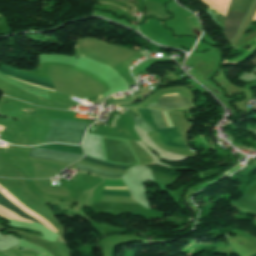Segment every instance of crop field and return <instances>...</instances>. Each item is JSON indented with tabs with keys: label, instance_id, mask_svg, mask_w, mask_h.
<instances>
[{
	"label": "crop field",
	"instance_id": "8a807250",
	"mask_svg": "<svg viewBox=\"0 0 256 256\" xmlns=\"http://www.w3.org/2000/svg\"><path fill=\"white\" fill-rule=\"evenodd\" d=\"M37 147L63 151L68 153H78L83 155L81 147H78V146H68L64 144H51V145L37 146ZM45 149L32 148L29 159L33 161L68 166L72 162L83 157L77 154H68V153L45 150Z\"/></svg>",
	"mask_w": 256,
	"mask_h": 256
},
{
	"label": "crop field",
	"instance_id": "ac0d7876",
	"mask_svg": "<svg viewBox=\"0 0 256 256\" xmlns=\"http://www.w3.org/2000/svg\"><path fill=\"white\" fill-rule=\"evenodd\" d=\"M68 120V119H65ZM50 130L46 135L45 143L62 142L79 144L82 142L83 134L89 125L82 122L48 120Z\"/></svg>",
	"mask_w": 256,
	"mask_h": 256
},
{
	"label": "crop field",
	"instance_id": "34b2d1b8",
	"mask_svg": "<svg viewBox=\"0 0 256 256\" xmlns=\"http://www.w3.org/2000/svg\"><path fill=\"white\" fill-rule=\"evenodd\" d=\"M150 126H152L158 137L161 139V141L166 144V145H170V146H174V147H181V148H187L185 143L183 142L177 128H174V129H169V130H156L157 129H166L158 112L155 111V110H150L151 112V115H152V118L154 120V123H155V126H154V123H153V120L151 118V115H150V112L148 109H142V108H133Z\"/></svg>",
	"mask_w": 256,
	"mask_h": 256
},
{
	"label": "crop field",
	"instance_id": "412701ff",
	"mask_svg": "<svg viewBox=\"0 0 256 256\" xmlns=\"http://www.w3.org/2000/svg\"><path fill=\"white\" fill-rule=\"evenodd\" d=\"M252 1L253 0H232L228 11L247 13ZM232 12L227 13L223 29V33L230 43L245 16V14L242 13Z\"/></svg>",
	"mask_w": 256,
	"mask_h": 256
},
{
	"label": "crop field",
	"instance_id": "f4fd0767",
	"mask_svg": "<svg viewBox=\"0 0 256 256\" xmlns=\"http://www.w3.org/2000/svg\"><path fill=\"white\" fill-rule=\"evenodd\" d=\"M82 161H86V162H90V163H94V164H98V165H102V166H106V167H110V168H115V169H119V170H125V166L122 165H112V164H108L99 160H95L89 157H86L82 159ZM76 169L85 171V172H89L98 176H102V177H106V178H112V179H117L122 177L123 175L120 174H115V173H111V172H107V171H103V170H99L96 168H92V167H88V166H84V165H80L75 163L74 164Z\"/></svg>",
	"mask_w": 256,
	"mask_h": 256
},
{
	"label": "crop field",
	"instance_id": "dd49c442",
	"mask_svg": "<svg viewBox=\"0 0 256 256\" xmlns=\"http://www.w3.org/2000/svg\"><path fill=\"white\" fill-rule=\"evenodd\" d=\"M1 68L5 69V70H8L10 72H13L17 75H20V76H24V77H28V78H32V79H35V80H39V81H43V82H47V83H51L49 81V79L47 78H43V77H39V76H35V75H32V74H28V73H24V72H21L19 70H16L12 67H9V66H5V65H2ZM0 68V71L3 72V73H6L8 75H11V76H14L16 78H19V79H23V80H26V81H29V82H33V83H37V84H40V85H44V86H48V87H52L53 86L51 84H47V83H43V82H39V81H35V80H32V79H28V78H24V77H20V76H17L15 74H12L8 71H5L3 69ZM22 81V80H21ZM26 81H23L25 83H28V84H32V85H35V86H38V87H41V88H44V89H48V90H51V91H54V89L52 88H48V87H44V86H40V85H37V84H33V83H29V82H26ZM55 92V91H54Z\"/></svg>",
	"mask_w": 256,
	"mask_h": 256
},
{
	"label": "crop field",
	"instance_id": "e52e79f7",
	"mask_svg": "<svg viewBox=\"0 0 256 256\" xmlns=\"http://www.w3.org/2000/svg\"><path fill=\"white\" fill-rule=\"evenodd\" d=\"M94 142H95V147L97 152V159L104 161V154L102 151L100 137L94 135ZM94 142H93V135L90 133H87L84 141V154L86 156L96 158Z\"/></svg>",
	"mask_w": 256,
	"mask_h": 256
},
{
	"label": "crop field",
	"instance_id": "d8731c3e",
	"mask_svg": "<svg viewBox=\"0 0 256 256\" xmlns=\"http://www.w3.org/2000/svg\"><path fill=\"white\" fill-rule=\"evenodd\" d=\"M170 95H177V94H170ZM170 95H165V96H170ZM162 97H164V96H162ZM157 101H158V103H166V102H181V101H188V100L181 95H177V96L159 98V99H157ZM147 106L155 107V108H163L166 110L190 107L189 102L152 104V105H147Z\"/></svg>",
	"mask_w": 256,
	"mask_h": 256
},
{
	"label": "crop field",
	"instance_id": "5a996713",
	"mask_svg": "<svg viewBox=\"0 0 256 256\" xmlns=\"http://www.w3.org/2000/svg\"><path fill=\"white\" fill-rule=\"evenodd\" d=\"M105 180L104 191L129 192L121 180ZM103 196L131 198L130 194L103 193Z\"/></svg>",
	"mask_w": 256,
	"mask_h": 256
},
{
	"label": "crop field",
	"instance_id": "3316defc",
	"mask_svg": "<svg viewBox=\"0 0 256 256\" xmlns=\"http://www.w3.org/2000/svg\"><path fill=\"white\" fill-rule=\"evenodd\" d=\"M0 204L10 210H12L13 212L23 216L24 218L26 219H29V220H33V221H36L40 224H42L41 222H39L38 220H36L35 218H33L32 216L24 213L22 210H20L17 206H15L12 202H10L6 197H4L1 193H0ZM20 216V217H21ZM22 217V218H23ZM44 225V224H42Z\"/></svg>",
	"mask_w": 256,
	"mask_h": 256
},
{
	"label": "crop field",
	"instance_id": "28ad6ade",
	"mask_svg": "<svg viewBox=\"0 0 256 256\" xmlns=\"http://www.w3.org/2000/svg\"><path fill=\"white\" fill-rule=\"evenodd\" d=\"M133 118V117H132ZM134 123L140 127L141 129L149 132L152 131L153 129L146 123L144 122L140 117L139 118H133Z\"/></svg>",
	"mask_w": 256,
	"mask_h": 256
},
{
	"label": "crop field",
	"instance_id": "d1516ede",
	"mask_svg": "<svg viewBox=\"0 0 256 256\" xmlns=\"http://www.w3.org/2000/svg\"><path fill=\"white\" fill-rule=\"evenodd\" d=\"M249 202H251V203L256 205V195Z\"/></svg>",
	"mask_w": 256,
	"mask_h": 256
}]
</instances>
